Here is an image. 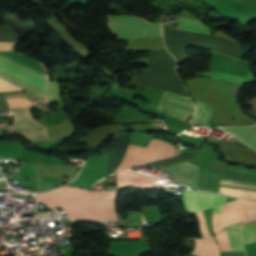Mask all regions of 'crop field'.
Masks as SVG:
<instances>
[{
    "label": "crop field",
    "instance_id": "ac0d7876",
    "mask_svg": "<svg viewBox=\"0 0 256 256\" xmlns=\"http://www.w3.org/2000/svg\"><path fill=\"white\" fill-rule=\"evenodd\" d=\"M193 100L207 103L213 109L210 122L245 126L253 122L244 116L236 104L237 92L240 85L197 77L185 81Z\"/></svg>",
    "mask_w": 256,
    "mask_h": 256
},
{
    "label": "crop field",
    "instance_id": "34b2d1b8",
    "mask_svg": "<svg viewBox=\"0 0 256 256\" xmlns=\"http://www.w3.org/2000/svg\"><path fill=\"white\" fill-rule=\"evenodd\" d=\"M111 31L119 39L163 37L161 24L149 23L143 19L126 16H106ZM159 110L187 121L196 111L190 98L165 92L158 106Z\"/></svg>",
    "mask_w": 256,
    "mask_h": 256
},
{
    "label": "crop field",
    "instance_id": "dd49c442",
    "mask_svg": "<svg viewBox=\"0 0 256 256\" xmlns=\"http://www.w3.org/2000/svg\"><path fill=\"white\" fill-rule=\"evenodd\" d=\"M14 116L11 130L23 134L31 141L49 140L46 127L35 122L29 109L11 110Z\"/></svg>",
    "mask_w": 256,
    "mask_h": 256
},
{
    "label": "crop field",
    "instance_id": "d9b57169",
    "mask_svg": "<svg viewBox=\"0 0 256 256\" xmlns=\"http://www.w3.org/2000/svg\"><path fill=\"white\" fill-rule=\"evenodd\" d=\"M38 174L56 176H76L77 170L67 165H37Z\"/></svg>",
    "mask_w": 256,
    "mask_h": 256
},
{
    "label": "crop field",
    "instance_id": "d1516ede",
    "mask_svg": "<svg viewBox=\"0 0 256 256\" xmlns=\"http://www.w3.org/2000/svg\"><path fill=\"white\" fill-rule=\"evenodd\" d=\"M120 125H107L95 129L88 133L82 140L87 144L91 145V148L99 146L103 143L108 136L115 134L117 131L122 129Z\"/></svg>",
    "mask_w": 256,
    "mask_h": 256
},
{
    "label": "crop field",
    "instance_id": "8a807250",
    "mask_svg": "<svg viewBox=\"0 0 256 256\" xmlns=\"http://www.w3.org/2000/svg\"><path fill=\"white\" fill-rule=\"evenodd\" d=\"M116 192L62 187L36 197L52 208L64 209L69 219L116 220Z\"/></svg>",
    "mask_w": 256,
    "mask_h": 256
},
{
    "label": "crop field",
    "instance_id": "eef30255",
    "mask_svg": "<svg viewBox=\"0 0 256 256\" xmlns=\"http://www.w3.org/2000/svg\"><path fill=\"white\" fill-rule=\"evenodd\" d=\"M195 216H196V220H197L199 230H200V233H201L202 237L209 236L208 232H207V229H206L204 219H203L202 212L200 211V212L196 213Z\"/></svg>",
    "mask_w": 256,
    "mask_h": 256
},
{
    "label": "crop field",
    "instance_id": "750c4746",
    "mask_svg": "<svg viewBox=\"0 0 256 256\" xmlns=\"http://www.w3.org/2000/svg\"><path fill=\"white\" fill-rule=\"evenodd\" d=\"M246 218L247 220L256 219V208L246 209Z\"/></svg>",
    "mask_w": 256,
    "mask_h": 256
},
{
    "label": "crop field",
    "instance_id": "1d83c4d3",
    "mask_svg": "<svg viewBox=\"0 0 256 256\" xmlns=\"http://www.w3.org/2000/svg\"><path fill=\"white\" fill-rule=\"evenodd\" d=\"M44 100H47V98H46V96L44 95V98H43Z\"/></svg>",
    "mask_w": 256,
    "mask_h": 256
},
{
    "label": "crop field",
    "instance_id": "00972430",
    "mask_svg": "<svg viewBox=\"0 0 256 256\" xmlns=\"http://www.w3.org/2000/svg\"><path fill=\"white\" fill-rule=\"evenodd\" d=\"M110 248L150 250L146 240L133 242H113Z\"/></svg>",
    "mask_w": 256,
    "mask_h": 256
},
{
    "label": "crop field",
    "instance_id": "d3111659",
    "mask_svg": "<svg viewBox=\"0 0 256 256\" xmlns=\"http://www.w3.org/2000/svg\"><path fill=\"white\" fill-rule=\"evenodd\" d=\"M19 42H0V51H14Z\"/></svg>",
    "mask_w": 256,
    "mask_h": 256
},
{
    "label": "crop field",
    "instance_id": "dafd665d",
    "mask_svg": "<svg viewBox=\"0 0 256 256\" xmlns=\"http://www.w3.org/2000/svg\"><path fill=\"white\" fill-rule=\"evenodd\" d=\"M195 102L197 105L198 112L190 122L206 124L208 118L212 114V109L201 102Z\"/></svg>",
    "mask_w": 256,
    "mask_h": 256
},
{
    "label": "crop field",
    "instance_id": "e52e79f7",
    "mask_svg": "<svg viewBox=\"0 0 256 256\" xmlns=\"http://www.w3.org/2000/svg\"><path fill=\"white\" fill-rule=\"evenodd\" d=\"M226 197L203 192L183 191L182 204L188 215L198 212L203 208L215 206L226 201Z\"/></svg>",
    "mask_w": 256,
    "mask_h": 256
},
{
    "label": "crop field",
    "instance_id": "bc2a9ffb",
    "mask_svg": "<svg viewBox=\"0 0 256 256\" xmlns=\"http://www.w3.org/2000/svg\"><path fill=\"white\" fill-rule=\"evenodd\" d=\"M177 30L199 32L212 35L210 28L206 27L200 20L180 18Z\"/></svg>",
    "mask_w": 256,
    "mask_h": 256
},
{
    "label": "crop field",
    "instance_id": "4177f3b9",
    "mask_svg": "<svg viewBox=\"0 0 256 256\" xmlns=\"http://www.w3.org/2000/svg\"><path fill=\"white\" fill-rule=\"evenodd\" d=\"M0 41H18L11 24L0 25Z\"/></svg>",
    "mask_w": 256,
    "mask_h": 256
},
{
    "label": "crop field",
    "instance_id": "cbeb9de0",
    "mask_svg": "<svg viewBox=\"0 0 256 256\" xmlns=\"http://www.w3.org/2000/svg\"><path fill=\"white\" fill-rule=\"evenodd\" d=\"M196 246L191 254L196 256H219L218 248L212 235L204 239H194Z\"/></svg>",
    "mask_w": 256,
    "mask_h": 256
},
{
    "label": "crop field",
    "instance_id": "4a817a6b",
    "mask_svg": "<svg viewBox=\"0 0 256 256\" xmlns=\"http://www.w3.org/2000/svg\"><path fill=\"white\" fill-rule=\"evenodd\" d=\"M232 135L247 143L250 147L256 150V127L247 128H225Z\"/></svg>",
    "mask_w": 256,
    "mask_h": 256
},
{
    "label": "crop field",
    "instance_id": "22f410ed",
    "mask_svg": "<svg viewBox=\"0 0 256 256\" xmlns=\"http://www.w3.org/2000/svg\"><path fill=\"white\" fill-rule=\"evenodd\" d=\"M127 145L128 143H119L111 144L110 146L106 147L104 152L108 153L110 157V162L108 164L105 176L113 173L118 167L125 155Z\"/></svg>",
    "mask_w": 256,
    "mask_h": 256
},
{
    "label": "crop field",
    "instance_id": "730fd06b",
    "mask_svg": "<svg viewBox=\"0 0 256 256\" xmlns=\"http://www.w3.org/2000/svg\"><path fill=\"white\" fill-rule=\"evenodd\" d=\"M10 108L14 107H33V105L29 100L26 98H10L6 99Z\"/></svg>",
    "mask_w": 256,
    "mask_h": 256
},
{
    "label": "crop field",
    "instance_id": "5a996713",
    "mask_svg": "<svg viewBox=\"0 0 256 256\" xmlns=\"http://www.w3.org/2000/svg\"><path fill=\"white\" fill-rule=\"evenodd\" d=\"M199 169L200 167L192 163L184 162L168 166L164 171L172 173V180L196 186Z\"/></svg>",
    "mask_w": 256,
    "mask_h": 256
},
{
    "label": "crop field",
    "instance_id": "733c2abd",
    "mask_svg": "<svg viewBox=\"0 0 256 256\" xmlns=\"http://www.w3.org/2000/svg\"><path fill=\"white\" fill-rule=\"evenodd\" d=\"M194 75L206 76V77L220 79V80H224L232 83H238L242 85L256 81L255 77L252 75L250 71L246 78L231 75V74L219 73L215 71H211L209 73L194 74Z\"/></svg>",
    "mask_w": 256,
    "mask_h": 256
},
{
    "label": "crop field",
    "instance_id": "412701ff",
    "mask_svg": "<svg viewBox=\"0 0 256 256\" xmlns=\"http://www.w3.org/2000/svg\"><path fill=\"white\" fill-rule=\"evenodd\" d=\"M0 75L25 85L40 95L43 94L46 83V79L43 74L2 56H0ZM2 76H0V92L15 90H20L23 92L26 90L34 94L39 99L42 98V96L33 90L8 80Z\"/></svg>",
    "mask_w": 256,
    "mask_h": 256
},
{
    "label": "crop field",
    "instance_id": "3316defc",
    "mask_svg": "<svg viewBox=\"0 0 256 256\" xmlns=\"http://www.w3.org/2000/svg\"><path fill=\"white\" fill-rule=\"evenodd\" d=\"M155 177L131 172L123 171L118 173L117 176V187L119 186H128L135 188H151Z\"/></svg>",
    "mask_w": 256,
    "mask_h": 256
},
{
    "label": "crop field",
    "instance_id": "28ad6ade",
    "mask_svg": "<svg viewBox=\"0 0 256 256\" xmlns=\"http://www.w3.org/2000/svg\"><path fill=\"white\" fill-rule=\"evenodd\" d=\"M249 148L225 144L223 151L227 160L231 163L244 162L250 164V166H256V152Z\"/></svg>",
    "mask_w": 256,
    "mask_h": 256
},
{
    "label": "crop field",
    "instance_id": "92a150f3",
    "mask_svg": "<svg viewBox=\"0 0 256 256\" xmlns=\"http://www.w3.org/2000/svg\"><path fill=\"white\" fill-rule=\"evenodd\" d=\"M241 237L244 245L256 243V220L243 223Z\"/></svg>",
    "mask_w": 256,
    "mask_h": 256
},
{
    "label": "crop field",
    "instance_id": "f4fd0767",
    "mask_svg": "<svg viewBox=\"0 0 256 256\" xmlns=\"http://www.w3.org/2000/svg\"><path fill=\"white\" fill-rule=\"evenodd\" d=\"M176 152L172 145L155 139L146 148L129 145L127 154L115 173L138 163L170 157Z\"/></svg>",
    "mask_w": 256,
    "mask_h": 256
},
{
    "label": "crop field",
    "instance_id": "ae1a2a85",
    "mask_svg": "<svg viewBox=\"0 0 256 256\" xmlns=\"http://www.w3.org/2000/svg\"><path fill=\"white\" fill-rule=\"evenodd\" d=\"M221 228H223L222 211H221L220 214H214L213 215V230H214V233L219 231Z\"/></svg>",
    "mask_w": 256,
    "mask_h": 256
},
{
    "label": "crop field",
    "instance_id": "bd1437ed",
    "mask_svg": "<svg viewBox=\"0 0 256 256\" xmlns=\"http://www.w3.org/2000/svg\"><path fill=\"white\" fill-rule=\"evenodd\" d=\"M223 205L217 206L213 208V213L219 212V210L221 209Z\"/></svg>",
    "mask_w": 256,
    "mask_h": 256
},
{
    "label": "crop field",
    "instance_id": "a9b5d70f",
    "mask_svg": "<svg viewBox=\"0 0 256 256\" xmlns=\"http://www.w3.org/2000/svg\"><path fill=\"white\" fill-rule=\"evenodd\" d=\"M45 93L50 103L62 100L58 82L48 81Z\"/></svg>",
    "mask_w": 256,
    "mask_h": 256
},
{
    "label": "crop field",
    "instance_id": "5142ce71",
    "mask_svg": "<svg viewBox=\"0 0 256 256\" xmlns=\"http://www.w3.org/2000/svg\"><path fill=\"white\" fill-rule=\"evenodd\" d=\"M220 184L231 185V186H239V187H247V188H255L256 189V184H252V183H243V182L221 180ZM219 189H220L221 194L248 197V198H256V192H254V191L223 188V187H220Z\"/></svg>",
    "mask_w": 256,
    "mask_h": 256
},
{
    "label": "crop field",
    "instance_id": "d8731c3e",
    "mask_svg": "<svg viewBox=\"0 0 256 256\" xmlns=\"http://www.w3.org/2000/svg\"><path fill=\"white\" fill-rule=\"evenodd\" d=\"M251 62H243L219 52H213L210 69L231 74L245 76L250 69Z\"/></svg>",
    "mask_w": 256,
    "mask_h": 256
},
{
    "label": "crop field",
    "instance_id": "214f88e0",
    "mask_svg": "<svg viewBox=\"0 0 256 256\" xmlns=\"http://www.w3.org/2000/svg\"><path fill=\"white\" fill-rule=\"evenodd\" d=\"M243 222L228 226L226 228V237L230 246V250H244L241 244L239 229Z\"/></svg>",
    "mask_w": 256,
    "mask_h": 256
}]
</instances>
